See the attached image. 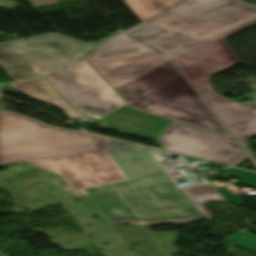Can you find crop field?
<instances>
[{"mask_svg":"<svg viewBox=\"0 0 256 256\" xmlns=\"http://www.w3.org/2000/svg\"><path fill=\"white\" fill-rule=\"evenodd\" d=\"M0 256H4V255L1 253V251H0Z\"/></svg>","mask_w":256,"mask_h":256,"instance_id":"12","label":"crop field"},{"mask_svg":"<svg viewBox=\"0 0 256 256\" xmlns=\"http://www.w3.org/2000/svg\"><path fill=\"white\" fill-rule=\"evenodd\" d=\"M159 141L167 150L233 165L246 154L233 140L172 122Z\"/></svg>","mask_w":256,"mask_h":256,"instance_id":"6","label":"crop field"},{"mask_svg":"<svg viewBox=\"0 0 256 256\" xmlns=\"http://www.w3.org/2000/svg\"><path fill=\"white\" fill-rule=\"evenodd\" d=\"M140 21L155 16L185 0H124Z\"/></svg>","mask_w":256,"mask_h":256,"instance_id":"10","label":"crop field"},{"mask_svg":"<svg viewBox=\"0 0 256 256\" xmlns=\"http://www.w3.org/2000/svg\"><path fill=\"white\" fill-rule=\"evenodd\" d=\"M30 163L61 174L77 196L85 194L81 188L127 179L105 152Z\"/></svg>","mask_w":256,"mask_h":256,"instance_id":"7","label":"crop field"},{"mask_svg":"<svg viewBox=\"0 0 256 256\" xmlns=\"http://www.w3.org/2000/svg\"><path fill=\"white\" fill-rule=\"evenodd\" d=\"M10 85L34 100L62 108L71 119L78 116L43 78L11 83Z\"/></svg>","mask_w":256,"mask_h":256,"instance_id":"9","label":"crop field"},{"mask_svg":"<svg viewBox=\"0 0 256 256\" xmlns=\"http://www.w3.org/2000/svg\"><path fill=\"white\" fill-rule=\"evenodd\" d=\"M224 241L244 247L256 252V237L243 231L225 239Z\"/></svg>","mask_w":256,"mask_h":256,"instance_id":"11","label":"crop field"},{"mask_svg":"<svg viewBox=\"0 0 256 256\" xmlns=\"http://www.w3.org/2000/svg\"><path fill=\"white\" fill-rule=\"evenodd\" d=\"M171 121L126 107L106 116L104 127L158 140Z\"/></svg>","mask_w":256,"mask_h":256,"instance_id":"8","label":"crop field"},{"mask_svg":"<svg viewBox=\"0 0 256 256\" xmlns=\"http://www.w3.org/2000/svg\"><path fill=\"white\" fill-rule=\"evenodd\" d=\"M256 24V7L239 0H188L83 55L116 89L170 59L252 161L256 108L218 95L210 76L240 63L223 38Z\"/></svg>","mask_w":256,"mask_h":256,"instance_id":"1","label":"crop field"},{"mask_svg":"<svg viewBox=\"0 0 256 256\" xmlns=\"http://www.w3.org/2000/svg\"><path fill=\"white\" fill-rule=\"evenodd\" d=\"M94 45L56 33L0 43V66L15 80L40 77Z\"/></svg>","mask_w":256,"mask_h":256,"instance_id":"4","label":"crop field"},{"mask_svg":"<svg viewBox=\"0 0 256 256\" xmlns=\"http://www.w3.org/2000/svg\"><path fill=\"white\" fill-rule=\"evenodd\" d=\"M103 151L128 179L83 190L111 225L203 220L211 216L202 204L223 201L208 184L177 189L149 148L0 111V164Z\"/></svg>","mask_w":256,"mask_h":256,"instance_id":"2","label":"crop field"},{"mask_svg":"<svg viewBox=\"0 0 256 256\" xmlns=\"http://www.w3.org/2000/svg\"><path fill=\"white\" fill-rule=\"evenodd\" d=\"M45 78L73 107L82 109L81 115H105L126 103L82 56Z\"/></svg>","mask_w":256,"mask_h":256,"instance_id":"5","label":"crop field"},{"mask_svg":"<svg viewBox=\"0 0 256 256\" xmlns=\"http://www.w3.org/2000/svg\"><path fill=\"white\" fill-rule=\"evenodd\" d=\"M116 90L129 107L232 138L171 60Z\"/></svg>","mask_w":256,"mask_h":256,"instance_id":"3","label":"crop field"}]
</instances>
